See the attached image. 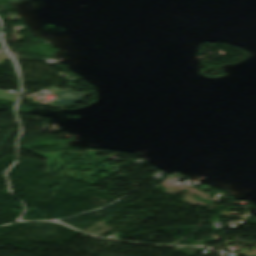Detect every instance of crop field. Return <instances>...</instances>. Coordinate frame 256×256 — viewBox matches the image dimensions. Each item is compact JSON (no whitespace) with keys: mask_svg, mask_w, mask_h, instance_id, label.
<instances>
[{"mask_svg":"<svg viewBox=\"0 0 256 256\" xmlns=\"http://www.w3.org/2000/svg\"><path fill=\"white\" fill-rule=\"evenodd\" d=\"M7 59H9V57L5 53H3V55H0V63Z\"/></svg>","mask_w":256,"mask_h":256,"instance_id":"3","label":"crop field"},{"mask_svg":"<svg viewBox=\"0 0 256 256\" xmlns=\"http://www.w3.org/2000/svg\"><path fill=\"white\" fill-rule=\"evenodd\" d=\"M19 94H10L3 91H0V98L8 99V100H16Z\"/></svg>","mask_w":256,"mask_h":256,"instance_id":"2","label":"crop field"},{"mask_svg":"<svg viewBox=\"0 0 256 256\" xmlns=\"http://www.w3.org/2000/svg\"><path fill=\"white\" fill-rule=\"evenodd\" d=\"M61 100L52 101L56 105H72L75 104L77 100H84L86 94L71 91V89H63L57 93Z\"/></svg>","mask_w":256,"mask_h":256,"instance_id":"1","label":"crop field"}]
</instances>
